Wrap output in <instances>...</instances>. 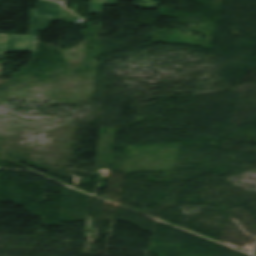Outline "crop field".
I'll return each mask as SVG.
<instances>
[{"label": "crop field", "mask_w": 256, "mask_h": 256, "mask_svg": "<svg viewBox=\"0 0 256 256\" xmlns=\"http://www.w3.org/2000/svg\"><path fill=\"white\" fill-rule=\"evenodd\" d=\"M64 7L49 0L37 1V10L31 11L30 36L0 35V53L36 51L37 32L49 28V23L61 20Z\"/></svg>", "instance_id": "obj_1"}, {"label": "crop field", "mask_w": 256, "mask_h": 256, "mask_svg": "<svg viewBox=\"0 0 256 256\" xmlns=\"http://www.w3.org/2000/svg\"><path fill=\"white\" fill-rule=\"evenodd\" d=\"M116 0H106L105 5H115ZM160 0H135L134 6L147 9L159 8Z\"/></svg>", "instance_id": "obj_2"}, {"label": "crop field", "mask_w": 256, "mask_h": 256, "mask_svg": "<svg viewBox=\"0 0 256 256\" xmlns=\"http://www.w3.org/2000/svg\"><path fill=\"white\" fill-rule=\"evenodd\" d=\"M105 0H91L89 14H101Z\"/></svg>", "instance_id": "obj_3"}]
</instances>
